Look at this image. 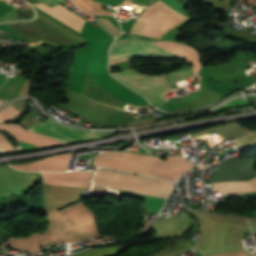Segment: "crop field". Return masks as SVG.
I'll list each match as a JSON object with an SVG mask.
<instances>
[{"label":"crop field","instance_id":"3316defc","mask_svg":"<svg viewBox=\"0 0 256 256\" xmlns=\"http://www.w3.org/2000/svg\"><path fill=\"white\" fill-rule=\"evenodd\" d=\"M212 190H221L222 194H242L256 191V177L249 182L211 183Z\"/></svg>","mask_w":256,"mask_h":256},{"label":"crop field","instance_id":"5142ce71","mask_svg":"<svg viewBox=\"0 0 256 256\" xmlns=\"http://www.w3.org/2000/svg\"><path fill=\"white\" fill-rule=\"evenodd\" d=\"M247 104H249V103L247 101H245L243 98H238V99H234V100L227 102L223 106L211 111V113L214 114V113H216L222 109H225V108L243 106V105H247Z\"/></svg>","mask_w":256,"mask_h":256},{"label":"crop field","instance_id":"f4fd0767","mask_svg":"<svg viewBox=\"0 0 256 256\" xmlns=\"http://www.w3.org/2000/svg\"><path fill=\"white\" fill-rule=\"evenodd\" d=\"M122 71V73L111 74H113L116 78L125 83L127 86L145 95L153 104L163 102L168 99L167 96L163 93L170 89V86L165 76H148L141 74L133 69H127Z\"/></svg>","mask_w":256,"mask_h":256},{"label":"crop field","instance_id":"dd49c442","mask_svg":"<svg viewBox=\"0 0 256 256\" xmlns=\"http://www.w3.org/2000/svg\"><path fill=\"white\" fill-rule=\"evenodd\" d=\"M148 42L133 37L115 41L113 46ZM179 58L152 42L114 47L110 49V64L133 58ZM181 59V58H180Z\"/></svg>","mask_w":256,"mask_h":256},{"label":"crop field","instance_id":"a9b5d70f","mask_svg":"<svg viewBox=\"0 0 256 256\" xmlns=\"http://www.w3.org/2000/svg\"><path fill=\"white\" fill-rule=\"evenodd\" d=\"M4 1H7V0H4Z\"/></svg>","mask_w":256,"mask_h":256},{"label":"crop field","instance_id":"412701ff","mask_svg":"<svg viewBox=\"0 0 256 256\" xmlns=\"http://www.w3.org/2000/svg\"><path fill=\"white\" fill-rule=\"evenodd\" d=\"M140 18L150 20V22L147 20L138 19L136 20L130 31L142 35L144 29L149 22L143 35L160 38L164 32L188 17L180 14L179 12L169 8L166 4L158 1L147 7L142 12Z\"/></svg>","mask_w":256,"mask_h":256},{"label":"crop field","instance_id":"733c2abd","mask_svg":"<svg viewBox=\"0 0 256 256\" xmlns=\"http://www.w3.org/2000/svg\"><path fill=\"white\" fill-rule=\"evenodd\" d=\"M256 142V132L252 133L251 135L235 142V144L240 147L248 144H252Z\"/></svg>","mask_w":256,"mask_h":256},{"label":"crop field","instance_id":"5a996713","mask_svg":"<svg viewBox=\"0 0 256 256\" xmlns=\"http://www.w3.org/2000/svg\"><path fill=\"white\" fill-rule=\"evenodd\" d=\"M10 134L14 136L18 142H21L36 148L58 145V144H66L65 142H61L49 137H45L36 133L26 131V130L11 132Z\"/></svg>","mask_w":256,"mask_h":256},{"label":"crop field","instance_id":"d8731c3e","mask_svg":"<svg viewBox=\"0 0 256 256\" xmlns=\"http://www.w3.org/2000/svg\"><path fill=\"white\" fill-rule=\"evenodd\" d=\"M219 170L209 178L210 182L249 180L256 176V158H230L219 164Z\"/></svg>","mask_w":256,"mask_h":256},{"label":"crop field","instance_id":"ac0d7876","mask_svg":"<svg viewBox=\"0 0 256 256\" xmlns=\"http://www.w3.org/2000/svg\"><path fill=\"white\" fill-rule=\"evenodd\" d=\"M49 15L53 16L57 20L71 27L77 32H80L85 20L76 14L72 13L63 6L57 4L53 7H49L43 3L33 4ZM13 30L21 33L27 38L34 40L38 38H44L53 44H75L73 41L68 38L60 35L59 33L53 31L47 26L41 24L40 22L34 20L32 22H21V23H8L5 24Z\"/></svg>","mask_w":256,"mask_h":256},{"label":"crop field","instance_id":"e52e79f7","mask_svg":"<svg viewBox=\"0 0 256 256\" xmlns=\"http://www.w3.org/2000/svg\"><path fill=\"white\" fill-rule=\"evenodd\" d=\"M29 131H33L68 143L97 139L107 135L114 134L95 131H82L68 127H63L52 122L49 119L37 124L36 126L29 129Z\"/></svg>","mask_w":256,"mask_h":256},{"label":"crop field","instance_id":"cbeb9de0","mask_svg":"<svg viewBox=\"0 0 256 256\" xmlns=\"http://www.w3.org/2000/svg\"><path fill=\"white\" fill-rule=\"evenodd\" d=\"M19 114H21V113L18 112L12 106H9L6 109L0 111V123L7 122V121L13 119L14 117L18 116Z\"/></svg>","mask_w":256,"mask_h":256},{"label":"crop field","instance_id":"22f410ed","mask_svg":"<svg viewBox=\"0 0 256 256\" xmlns=\"http://www.w3.org/2000/svg\"><path fill=\"white\" fill-rule=\"evenodd\" d=\"M170 84L178 81H182L191 78L193 74L190 73V68L177 70L171 73L165 74Z\"/></svg>","mask_w":256,"mask_h":256},{"label":"crop field","instance_id":"d1516ede","mask_svg":"<svg viewBox=\"0 0 256 256\" xmlns=\"http://www.w3.org/2000/svg\"><path fill=\"white\" fill-rule=\"evenodd\" d=\"M124 246L107 248V249H92L89 251H85L80 254H76L73 256H109L115 254L118 250H120Z\"/></svg>","mask_w":256,"mask_h":256},{"label":"crop field","instance_id":"4a817a6b","mask_svg":"<svg viewBox=\"0 0 256 256\" xmlns=\"http://www.w3.org/2000/svg\"><path fill=\"white\" fill-rule=\"evenodd\" d=\"M216 256H247V254L242 252H236V253H228V254H222V255H216Z\"/></svg>","mask_w":256,"mask_h":256},{"label":"crop field","instance_id":"34b2d1b8","mask_svg":"<svg viewBox=\"0 0 256 256\" xmlns=\"http://www.w3.org/2000/svg\"><path fill=\"white\" fill-rule=\"evenodd\" d=\"M95 184L110 186L132 192L142 193L165 199L171 189L169 182L138 175L98 169Z\"/></svg>","mask_w":256,"mask_h":256},{"label":"crop field","instance_id":"8a807250","mask_svg":"<svg viewBox=\"0 0 256 256\" xmlns=\"http://www.w3.org/2000/svg\"><path fill=\"white\" fill-rule=\"evenodd\" d=\"M105 153L118 154V155H124V156H130V157H136V158H142V159H148V160H154V161H160V162H166V163H172V164H178V165H184V166H190V167L194 166V164L184 159L178 158L176 156H173V158L169 160H161L160 158L143 156V155L132 154V153H115V152H105ZM94 165L98 167L130 171L134 173L159 176V177H165L170 179H177L181 174L191 169L189 167L144 161V160H138V159H131V158H125V157H119V156L106 155V154H101L97 156L94 159Z\"/></svg>","mask_w":256,"mask_h":256},{"label":"crop field","instance_id":"28ad6ade","mask_svg":"<svg viewBox=\"0 0 256 256\" xmlns=\"http://www.w3.org/2000/svg\"><path fill=\"white\" fill-rule=\"evenodd\" d=\"M0 129L10 132V131H16V130H22L20 126L16 124H2L0 125ZM0 149H3L5 151L13 150L11 144L5 139L3 134L0 133Z\"/></svg>","mask_w":256,"mask_h":256},{"label":"crop field","instance_id":"214f88e0","mask_svg":"<svg viewBox=\"0 0 256 256\" xmlns=\"http://www.w3.org/2000/svg\"><path fill=\"white\" fill-rule=\"evenodd\" d=\"M3 103L2 102H0V105H2Z\"/></svg>","mask_w":256,"mask_h":256},{"label":"crop field","instance_id":"00972430","mask_svg":"<svg viewBox=\"0 0 256 256\" xmlns=\"http://www.w3.org/2000/svg\"><path fill=\"white\" fill-rule=\"evenodd\" d=\"M0 153H2V151H0Z\"/></svg>","mask_w":256,"mask_h":256},{"label":"crop field","instance_id":"92a150f3","mask_svg":"<svg viewBox=\"0 0 256 256\" xmlns=\"http://www.w3.org/2000/svg\"><path fill=\"white\" fill-rule=\"evenodd\" d=\"M133 106H135V105H133ZM137 107H142V106H137Z\"/></svg>","mask_w":256,"mask_h":256},{"label":"crop field","instance_id":"dafd665d","mask_svg":"<svg viewBox=\"0 0 256 256\" xmlns=\"http://www.w3.org/2000/svg\"><path fill=\"white\" fill-rule=\"evenodd\" d=\"M4 101H10V100H4Z\"/></svg>","mask_w":256,"mask_h":256},{"label":"crop field","instance_id":"bc2a9ffb","mask_svg":"<svg viewBox=\"0 0 256 256\" xmlns=\"http://www.w3.org/2000/svg\"><path fill=\"white\" fill-rule=\"evenodd\" d=\"M40 1H43V2L48 3V4H50V5H53V4L62 2V1H64V0H40Z\"/></svg>","mask_w":256,"mask_h":256},{"label":"crop field","instance_id":"d9b57169","mask_svg":"<svg viewBox=\"0 0 256 256\" xmlns=\"http://www.w3.org/2000/svg\"><path fill=\"white\" fill-rule=\"evenodd\" d=\"M98 21L106 30L110 31L114 35L118 36L120 31L114 26V24L108 18H98Z\"/></svg>","mask_w":256,"mask_h":256}]
</instances>
